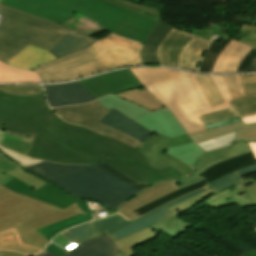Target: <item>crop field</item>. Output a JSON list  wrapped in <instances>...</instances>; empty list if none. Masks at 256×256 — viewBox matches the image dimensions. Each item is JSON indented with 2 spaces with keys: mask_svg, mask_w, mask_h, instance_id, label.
<instances>
[{
  "mask_svg": "<svg viewBox=\"0 0 256 256\" xmlns=\"http://www.w3.org/2000/svg\"><path fill=\"white\" fill-rule=\"evenodd\" d=\"M253 22H256V16L254 17V21Z\"/></svg>",
  "mask_w": 256,
  "mask_h": 256,
  "instance_id": "60",
  "label": "crop field"
},
{
  "mask_svg": "<svg viewBox=\"0 0 256 256\" xmlns=\"http://www.w3.org/2000/svg\"><path fill=\"white\" fill-rule=\"evenodd\" d=\"M237 115L231 108L200 115L199 118L202 121L203 125L210 124L213 122L225 120L228 118L236 117Z\"/></svg>",
  "mask_w": 256,
  "mask_h": 256,
  "instance_id": "44",
  "label": "crop field"
},
{
  "mask_svg": "<svg viewBox=\"0 0 256 256\" xmlns=\"http://www.w3.org/2000/svg\"><path fill=\"white\" fill-rule=\"evenodd\" d=\"M245 189L248 192L253 205L256 206V182L245 186Z\"/></svg>",
  "mask_w": 256,
  "mask_h": 256,
  "instance_id": "50",
  "label": "crop field"
},
{
  "mask_svg": "<svg viewBox=\"0 0 256 256\" xmlns=\"http://www.w3.org/2000/svg\"><path fill=\"white\" fill-rule=\"evenodd\" d=\"M240 41L256 49V23L241 25Z\"/></svg>",
  "mask_w": 256,
  "mask_h": 256,
  "instance_id": "46",
  "label": "crop field"
},
{
  "mask_svg": "<svg viewBox=\"0 0 256 256\" xmlns=\"http://www.w3.org/2000/svg\"><path fill=\"white\" fill-rule=\"evenodd\" d=\"M118 247L111 240L109 235H103L91 239L72 250L65 256H112L116 254ZM35 256H56L46 251Z\"/></svg>",
  "mask_w": 256,
  "mask_h": 256,
  "instance_id": "22",
  "label": "crop field"
},
{
  "mask_svg": "<svg viewBox=\"0 0 256 256\" xmlns=\"http://www.w3.org/2000/svg\"><path fill=\"white\" fill-rule=\"evenodd\" d=\"M46 251L51 252L53 254L59 255V256H64L65 252H63L61 249H59L58 247L54 246L53 244H49V246L47 247Z\"/></svg>",
  "mask_w": 256,
  "mask_h": 256,
  "instance_id": "53",
  "label": "crop field"
},
{
  "mask_svg": "<svg viewBox=\"0 0 256 256\" xmlns=\"http://www.w3.org/2000/svg\"><path fill=\"white\" fill-rule=\"evenodd\" d=\"M256 164L255 157L253 153H247L245 155L237 156L231 159H228L222 163H219L206 171L202 173L203 177H205L207 180H204L198 184L192 185L190 187L184 188L182 190L176 191L160 200H157L141 209H138L134 211L137 215L141 216L189 191L199 189L203 186H205L207 183L218 179L222 176H225L227 174H230L234 172L235 170L241 169L246 166H250Z\"/></svg>",
  "mask_w": 256,
  "mask_h": 256,
  "instance_id": "13",
  "label": "crop field"
},
{
  "mask_svg": "<svg viewBox=\"0 0 256 256\" xmlns=\"http://www.w3.org/2000/svg\"><path fill=\"white\" fill-rule=\"evenodd\" d=\"M194 74L211 106L225 102L224 98L220 95L211 75Z\"/></svg>",
  "mask_w": 256,
  "mask_h": 256,
  "instance_id": "38",
  "label": "crop field"
},
{
  "mask_svg": "<svg viewBox=\"0 0 256 256\" xmlns=\"http://www.w3.org/2000/svg\"><path fill=\"white\" fill-rule=\"evenodd\" d=\"M105 70L88 50L54 60L35 69L43 82L69 81Z\"/></svg>",
  "mask_w": 256,
  "mask_h": 256,
  "instance_id": "10",
  "label": "crop field"
},
{
  "mask_svg": "<svg viewBox=\"0 0 256 256\" xmlns=\"http://www.w3.org/2000/svg\"><path fill=\"white\" fill-rule=\"evenodd\" d=\"M110 112L103 117L100 122L144 143L145 140L152 134L140 124L129 119L125 115L118 112L116 109L109 110ZM99 122V123H100Z\"/></svg>",
  "mask_w": 256,
  "mask_h": 256,
  "instance_id": "23",
  "label": "crop field"
},
{
  "mask_svg": "<svg viewBox=\"0 0 256 256\" xmlns=\"http://www.w3.org/2000/svg\"><path fill=\"white\" fill-rule=\"evenodd\" d=\"M0 250L17 251L25 255L37 254L42 251L22 244L15 228L0 232Z\"/></svg>",
  "mask_w": 256,
  "mask_h": 256,
  "instance_id": "30",
  "label": "crop field"
},
{
  "mask_svg": "<svg viewBox=\"0 0 256 256\" xmlns=\"http://www.w3.org/2000/svg\"><path fill=\"white\" fill-rule=\"evenodd\" d=\"M118 97V96H117Z\"/></svg>",
  "mask_w": 256,
  "mask_h": 256,
  "instance_id": "61",
  "label": "crop field"
},
{
  "mask_svg": "<svg viewBox=\"0 0 256 256\" xmlns=\"http://www.w3.org/2000/svg\"><path fill=\"white\" fill-rule=\"evenodd\" d=\"M0 82H40L35 73L20 71L0 63Z\"/></svg>",
  "mask_w": 256,
  "mask_h": 256,
  "instance_id": "37",
  "label": "crop field"
},
{
  "mask_svg": "<svg viewBox=\"0 0 256 256\" xmlns=\"http://www.w3.org/2000/svg\"><path fill=\"white\" fill-rule=\"evenodd\" d=\"M0 90L17 95H33L44 91L41 86L30 85H0Z\"/></svg>",
  "mask_w": 256,
  "mask_h": 256,
  "instance_id": "43",
  "label": "crop field"
},
{
  "mask_svg": "<svg viewBox=\"0 0 256 256\" xmlns=\"http://www.w3.org/2000/svg\"><path fill=\"white\" fill-rule=\"evenodd\" d=\"M236 130H238V132L232 145L237 143L238 140H242L244 142H256V123L245 125L242 122H239L214 130L191 135L190 137L194 140V142L198 143Z\"/></svg>",
  "mask_w": 256,
  "mask_h": 256,
  "instance_id": "25",
  "label": "crop field"
},
{
  "mask_svg": "<svg viewBox=\"0 0 256 256\" xmlns=\"http://www.w3.org/2000/svg\"><path fill=\"white\" fill-rule=\"evenodd\" d=\"M229 147H224V148L219 149V150H215V151H212V152L205 153L200 158H198V160L195 162V164L192 167L198 169L201 165H203L208 160H213V159L225 157L228 150H229Z\"/></svg>",
  "mask_w": 256,
  "mask_h": 256,
  "instance_id": "48",
  "label": "crop field"
},
{
  "mask_svg": "<svg viewBox=\"0 0 256 256\" xmlns=\"http://www.w3.org/2000/svg\"><path fill=\"white\" fill-rule=\"evenodd\" d=\"M0 128L20 134L36 133L26 156L63 164L104 161L138 183L150 186L167 179L185 178L171 164L159 170L140 151L116 139L62 121L49 110L44 92L16 96L0 91Z\"/></svg>",
  "mask_w": 256,
  "mask_h": 256,
  "instance_id": "1",
  "label": "crop field"
},
{
  "mask_svg": "<svg viewBox=\"0 0 256 256\" xmlns=\"http://www.w3.org/2000/svg\"><path fill=\"white\" fill-rule=\"evenodd\" d=\"M240 176L256 172V165L236 171Z\"/></svg>",
  "mask_w": 256,
  "mask_h": 256,
  "instance_id": "54",
  "label": "crop field"
},
{
  "mask_svg": "<svg viewBox=\"0 0 256 256\" xmlns=\"http://www.w3.org/2000/svg\"><path fill=\"white\" fill-rule=\"evenodd\" d=\"M244 96L228 102L242 118L256 114V74L237 76Z\"/></svg>",
  "mask_w": 256,
  "mask_h": 256,
  "instance_id": "21",
  "label": "crop field"
},
{
  "mask_svg": "<svg viewBox=\"0 0 256 256\" xmlns=\"http://www.w3.org/2000/svg\"><path fill=\"white\" fill-rule=\"evenodd\" d=\"M252 178L247 179L241 183L233 185L234 188L224 190L217 194H214L204 201L201 202L202 205L211 208H223L233 204H238L242 208L251 207V201L248 194L245 192L243 186L254 182Z\"/></svg>",
  "mask_w": 256,
  "mask_h": 256,
  "instance_id": "19",
  "label": "crop field"
},
{
  "mask_svg": "<svg viewBox=\"0 0 256 256\" xmlns=\"http://www.w3.org/2000/svg\"><path fill=\"white\" fill-rule=\"evenodd\" d=\"M187 142H191V140L189 139L187 134H185V135H182L180 137L174 138L172 140V142L170 143L169 147L178 146V145H181V144H184V143H187Z\"/></svg>",
  "mask_w": 256,
  "mask_h": 256,
  "instance_id": "51",
  "label": "crop field"
},
{
  "mask_svg": "<svg viewBox=\"0 0 256 256\" xmlns=\"http://www.w3.org/2000/svg\"><path fill=\"white\" fill-rule=\"evenodd\" d=\"M231 39L224 37L220 43L212 42L208 51L204 55L201 64L199 66L200 71L212 72L219 55L222 53L224 48L228 45Z\"/></svg>",
  "mask_w": 256,
  "mask_h": 256,
  "instance_id": "36",
  "label": "crop field"
},
{
  "mask_svg": "<svg viewBox=\"0 0 256 256\" xmlns=\"http://www.w3.org/2000/svg\"><path fill=\"white\" fill-rule=\"evenodd\" d=\"M224 161L223 159H218V160H214V161H208L206 162L203 166H201V168H199L194 174L190 175L189 178L186 179H177L178 180V184L177 186L182 189L184 187H187L189 185L195 184L197 182L202 181L204 178L202 177V175H200L204 170H206L207 168H209L212 165H215L219 162Z\"/></svg>",
  "mask_w": 256,
  "mask_h": 256,
  "instance_id": "42",
  "label": "crop field"
},
{
  "mask_svg": "<svg viewBox=\"0 0 256 256\" xmlns=\"http://www.w3.org/2000/svg\"><path fill=\"white\" fill-rule=\"evenodd\" d=\"M211 194H213L212 191H210V190L206 191L192 199H189L185 202H182V203L176 205L173 208H170V210L172 212H174L176 215H174V216H172L154 226H151V227L159 232L162 231L165 234H167L168 236L176 239L178 236L183 234V232L184 233L187 232V227L191 228V226H192L191 224L182 221L179 217H177V215L180 214L181 212L191 208L192 206L196 205L197 203H199L206 197L210 196Z\"/></svg>",
  "mask_w": 256,
  "mask_h": 256,
  "instance_id": "18",
  "label": "crop field"
},
{
  "mask_svg": "<svg viewBox=\"0 0 256 256\" xmlns=\"http://www.w3.org/2000/svg\"><path fill=\"white\" fill-rule=\"evenodd\" d=\"M192 37L193 35L173 29L158 50L161 64L179 67L181 52Z\"/></svg>",
  "mask_w": 256,
  "mask_h": 256,
  "instance_id": "20",
  "label": "crop field"
},
{
  "mask_svg": "<svg viewBox=\"0 0 256 256\" xmlns=\"http://www.w3.org/2000/svg\"><path fill=\"white\" fill-rule=\"evenodd\" d=\"M96 99L128 89L143 87L130 69L114 71L79 82Z\"/></svg>",
  "mask_w": 256,
  "mask_h": 256,
  "instance_id": "14",
  "label": "crop field"
},
{
  "mask_svg": "<svg viewBox=\"0 0 256 256\" xmlns=\"http://www.w3.org/2000/svg\"><path fill=\"white\" fill-rule=\"evenodd\" d=\"M53 59L56 58L49 52L29 46L5 64L21 70L33 71L36 65Z\"/></svg>",
  "mask_w": 256,
  "mask_h": 256,
  "instance_id": "28",
  "label": "crop field"
},
{
  "mask_svg": "<svg viewBox=\"0 0 256 256\" xmlns=\"http://www.w3.org/2000/svg\"><path fill=\"white\" fill-rule=\"evenodd\" d=\"M0 256H23V255L12 253V252H0Z\"/></svg>",
  "mask_w": 256,
  "mask_h": 256,
  "instance_id": "56",
  "label": "crop field"
},
{
  "mask_svg": "<svg viewBox=\"0 0 256 256\" xmlns=\"http://www.w3.org/2000/svg\"><path fill=\"white\" fill-rule=\"evenodd\" d=\"M52 110L67 122L84 125L95 131L127 142L137 148L142 145V143L137 142L102 123H99L98 121L109 111L97 101L80 106H63L53 108Z\"/></svg>",
  "mask_w": 256,
  "mask_h": 256,
  "instance_id": "12",
  "label": "crop field"
},
{
  "mask_svg": "<svg viewBox=\"0 0 256 256\" xmlns=\"http://www.w3.org/2000/svg\"><path fill=\"white\" fill-rule=\"evenodd\" d=\"M141 44L108 33L87 49L107 70L139 65Z\"/></svg>",
  "mask_w": 256,
  "mask_h": 256,
  "instance_id": "11",
  "label": "crop field"
},
{
  "mask_svg": "<svg viewBox=\"0 0 256 256\" xmlns=\"http://www.w3.org/2000/svg\"><path fill=\"white\" fill-rule=\"evenodd\" d=\"M63 236L67 237L76 244H81L82 242L94 238V232L92 230L91 222H88L84 225L70 228L62 233Z\"/></svg>",
  "mask_w": 256,
  "mask_h": 256,
  "instance_id": "39",
  "label": "crop field"
},
{
  "mask_svg": "<svg viewBox=\"0 0 256 256\" xmlns=\"http://www.w3.org/2000/svg\"><path fill=\"white\" fill-rule=\"evenodd\" d=\"M247 71H256V50L253 48L246 54L236 70V72Z\"/></svg>",
  "mask_w": 256,
  "mask_h": 256,
  "instance_id": "47",
  "label": "crop field"
},
{
  "mask_svg": "<svg viewBox=\"0 0 256 256\" xmlns=\"http://www.w3.org/2000/svg\"><path fill=\"white\" fill-rule=\"evenodd\" d=\"M96 40L81 33L70 30L49 51L57 58L85 50Z\"/></svg>",
  "mask_w": 256,
  "mask_h": 256,
  "instance_id": "26",
  "label": "crop field"
},
{
  "mask_svg": "<svg viewBox=\"0 0 256 256\" xmlns=\"http://www.w3.org/2000/svg\"><path fill=\"white\" fill-rule=\"evenodd\" d=\"M158 233L159 232L148 227L136 234L120 239L115 243L119 247V249L126 254V256H134L135 255L133 251L134 247L156 239L158 236Z\"/></svg>",
  "mask_w": 256,
  "mask_h": 256,
  "instance_id": "32",
  "label": "crop field"
},
{
  "mask_svg": "<svg viewBox=\"0 0 256 256\" xmlns=\"http://www.w3.org/2000/svg\"><path fill=\"white\" fill-rule=\"evenodd\" d=\"M117 95L126 100L133 101L148 110H157V109L166 108L147 90L141 91V92H139L138 90L126 91Z\"/></svg>",
  "mask_w": 256,
  "mask_h": 256,
  "instance_id": "34",
  "label": "crop field"
},
{
  "mask_svg": "<svg viewBox=\"0 0 256 256\" xmlns=\"http://www.w3.org/2000/svg\"><path fill=\"white\" fill-rule=\"evenodd\" d=\"M167 153L171 154L180 161L192 166L197 160L196 158L204 154L193 142L178 147L168 148Z\"/></svg>",
  "mask_w": 256,
  "mask_h": 256,
  "instance_id": "35",
  "label": "crop field"
},
{
  "mask_svg": "<svg viewBox=\"0 0 256 256\" xmlns=\"http://www.w3.org/2000/svg\"><path fill=\"white\" fill-rule=\"evenodd\" d=\"M250 151H251V149H250L248 143H243V142L239 141L237 144H235L234 146H232L230 148L227 156L225 157V160L230 157L245 154Z\"/></svg>",
  "mask_w": 256,
  "mask_h": 256,
  "instance_id": "49",
  "label": "crop field"
},
{
  "mask_svg": "<svg viewBox=\"0 0 256 256\" xmlns=\"http://www.w3.org/2000/svg\"><path fill=\"white\" fill-rule=\"evenodd\" d=\"M125 254L123 253V252H118L116 255H114V256H124Z\"/></svg>",
  "mask_w": 256,
  "mask_h": 256,
  "instance_id": "59",
  "label": "crop field"
},
{
  "mask_svg": "<svg viewBox=\"0 0 256 256\" xmlns=\"http://www.w3.org/2000/svg\"><path fill=\"white\" fill-rule=\"evenodd\" d=\"M99 101L109 109L116 108L154 133L139 148L152 166L161 169L171 163L187 176L196 170L165 153L172 138L185 134L183 128L169 111L149 113L114 96H105Z\"/></svg>",
  "mask_w": 256,
  "mask_h": 256,
  "instance_id": "4",
  "label": "crop field"
},
{
  "mask_svg": "<svg viewBox=\"0 0 256 256\" xmlns=\"http://www.w3.org/2000/svg\"><path fill=\"white\" fill-rule=\"evenodd\" d=\"M113 4L125 7L127 9H130L134 12H137L145 17L157 20L159 19V10L158 9H154V8H150V7H146V6H142V5H137V4H133L130 2H126V1H120V0H107Z\"/></svg>",
  "mask_w": 256,
  "mask_h": 256,
  "instance_id": "40",
  "label": "crop field"
},
{
  "mask_svg": "<svg viewBox=\"0 0 256 256\" xmlns=\"http://www.w3.org/2000/svg\"><path fill=\"white\" fill-rule=\"evenodd\" d=\"M206 190H208V188L189 193L133 221H128L119 214L104 218L102 220L93 221L92 223L95 228L96 236H100L108 232L114 241L129 236L139 230L174 215L168 208L173 207L176 204L194 197Z\"/></svg>",
  "mask_w": 256,
  "mask_h": 256,
  "instance_id": "9",
  "label": "crop field"
},
{
  "mask_svg": "<svg viewBox=\"0 0 256 256\" xmlns=\"http://www.w3.org/2000/svg\"><path fill=\"white\" fill-rule=\"evenodd\" d=\"M92 220V214L90 213L88 216L79 214L77 216L71 217L69 219L63 220L61 222L43 227L38 229V231L48 240L50 241L57 233L66 230L72 226H76L82 224L86 221Z\"/></svg>",
  "mask_w": 256,
  "mask_h": 256,
  "instance_id": "33",
  "label": "crop field"
},
{
  "mask_svg": "<svg viewBox=\"0 0 256 256\" xmlns=\"http://www.w3.org/2000/svg\"><path fill=\"white\" fill-rule=\"evenodd\" d=\"M34 135H20L0 129V145L25 155L31 147Z\"/></svg>",
  "mask_w": 256,
  "mask_h": 256,
  "instance_id": "31",
  "label": "crop field"
},
{
  "mask_svg": "<svg viewBox=\"0 0 256 256\" xmlns=\"http://www.w3.org/2000/svg\"><path fill=\"white\" fill-rule=\"evenodd\" d=\"M252 47L232 40L221 54L213 72H235L238 64Z\"/></svg>",
  "mask_w": 256,
  "mask_h": 256,
  "instance_id": "27",
  "label": "crop field"
},
{
  "mask_svg": "<svg viewBox=\"0 0 256 256\" xmlns=\"http://www.w3.org/2000/svg\"><path fill=\"white\" fill-rule=\"evenodd\" d=\"M50 107L83 104L96 100L78 82L64 85L44 86Z\"/></svg>",
  "mask_w": 256,
  "mask_h": 256,
  "instance_id": "15",
  "label": "crop field"
},
{
  "mask_svg": "<svg viewBox=\"0 0 256 256\" xmlns=\"http://www.w3.org/2000/svg\"><path fill=\"white\" fill-rule=\"evenodd\" d=\"M256 231V230H255Z\"/></svg>",
  "mask_w": 256,
  "mask_h": 256,
  "instance_id": "62",
  "label": "crop field"
},
{
  "mask_svg": "<svg viewBox=\"0 0 256 256\" xmlns=\"http://www.w3.org/2000/svg\"><path fill=\"white\" fill-rule=\"evenodd\" d=\"M0 60L4 63L31 45L49 50L70 29L0 4Z\"/></svg>",
  "mask_w": 256,
  "mask_h": 256,
  "instance_id": "5",
  "label": "crop field"
},
{
  "mask_svg": "<svg viewBox=\"0 0 256 256\" xmlns=\"http://www.w3.org/2000/svg\"><path fill=\"white\" fill-rule=\"evenodd\" d=\"M176 183V180H168L154 184L148 187L138 196L133 197L126 204L116 210H118L123 216L127 217L128 219L137 218L139 216H137L132 211L144 205H147L173 191L179 190V188L176 186Z\"/></svg>",
  "mask_w": 256,
  "mask_h": 256,
  "instance_id": "16",
  "label": "crop field"
},
{
  "mask_svg": "<svg viewBox=\"0 0 256 256\" xmlns=\"http://www.w3.org/2000/svg\"><path fill=\"white\" fill-rule=\"evenodd\" d=\"M79 213L77 203L62 210L14 193L0 201V231L16 227L23 243L44 249L49 242L36 229Z\"/></svg>",
  "mask_w": 256,
  "mask_h": 256,
  "instance_id": "6",
  "label": "crop field"
},
{
  "mask_svg": "<svg viewBox=\"0 0 256 256\" xmlns=\"http://www.w3.org/2000/svg\"><path fill=\"white\" fill-rule=\"evenodd\" d=\"M0 184L4 187L59 208H66L77 202L86 213L91 210L86 200H76L48 182L24 172L19 165L0 152Z\"/></svg>",
  "mask_w": 256,
  "mask_h": 256,
  "instance_id": "8",
  "label": "crop field"
},
{
  "mask_svg": "<svg viewBox=\"0 0 256 256\" xmlns=\"http://www.w3.org/2000/svg\"><path fill=\"white\" fill-rule=\"evenodd\" d=\"M213 77H214L215 81L217 82V84H218V86H219V88H220V90H221V92H222V94H223L225 100H226L227 102L230 101V99H229V97H228V94H227V92H226V90H225V87H224V85H223V82H222L221 77H220V76H213Z\"/></svg>",
  "mask_w": 256,
  "mask_h": 256,
  "instance_id": "52",
  "label": "crop field"
},
{
  "mask_svg": "<svg viewBox=\"0 0 256 256\" xmlns=\"http://www.w3.org/2000/svg\"><path fill=\"white\" fill-rule=\"evenodd\" d=\"M172 29V26L159 19L143 44L141 50V65H161L157 57V50Z\"/></svg>",
  "mask_w": 256,
  "mask_h": 256,
  "instance_id": "24",
  "label": "crop field"
},
{
  "mask_svg": "<svg viewBox=\"0 0 256 256\" xmlns=\"http://www.w3.org/2000/svg\"><path fill=\"white\" fill-rule=\"evenodd\" d=\"M249 145H250V147H251V149H252V151H253V153L256 157V143H249Z\"/></svg>",
  "mask_w": 256,
  "mask_h": 256,
  "instance_id": "58",
  "label": "crop field"
},
{
  "mask_svg": "<svg viewBox=\"0 0 256 256\" xmlns=\"http://www.w3.org/2000/svg\"><path fill=\"white\" fill-rule=\"evenodd\" d=\"M21 168L47 180L76 199L93 200L109 210L122 206L148 187L144 183H135L104 162L83 166L43 161Z\"/></svg>",
  "mask_w": 256,
  "mask_h": 256,
  "instance_id": "2",
  "label": "crop field"
},
{
  "mask_svg": "<svg viewBox=\"0 0 256 256\" xmlns=\"http://www.w3.org/2000/svg\"><path fill=\"white\" fill-rule=\"evenodd\" d=\"M0 3L53 20L57 23H62L76 16L69 11L57 8L42 0H0Z\"/></svg>",
  "mask_w": 256,
  "mask_h": 256,
  "instance_id": "17",
  "label": "crop field"
},
{
  "mask_svg": "<svg viewBox=\"0 0 256 256\" xmlns=\"http://www.w3.org/2000/svg\"><path fill=\"white\" fill-rule=\"evenodd\" d=\"M242 120H243L245 123L254 122V121H256V115L250 116V117H246V118H242Z\"/></svg>",
  "mask_w": 256,
  "mask_h": 256,
  "instance_id": "57",
  "label": "crop field"
},
{
  "mask_svg": "<svg viewBox=\"0 0 256 256\" xmlns=\"http://www.w3.org/2000/svg\"><path fill=\"white\" fill-rule=\"evenodd\" d=\"M236 132L199 143L198 145L206 152L231 145Z\"/></svg>",
  "mask_w": 256,
  "mask_h": 256,
  "instance_id": "41",
  "label": "crop field"
},
{
  "mask_svg": "<svg viewBox=\"0 0 256 256\" xmlns=\"http://www.w3.org/2000/svg\"><path fill=\"white\" fill-rule=\"evenodd\" d=\"M241 178L239 175L235 172L230 175H227L221 179L215 180L212 183L207 184L209 188H211L213 191L217 192L219 190H222L226 187H229L235 183L241 182Z\"/></svg>",
  "mask_w": 256,
  "mask_h": 256,
  "instance_id": "45",
  "label": "crop field"
},
{
  "mask_svg": "<svg viewBox=\"0 0 256 256\" xmlns=\"http://www.w3.org/2000/svg\"><path fill=\"white\" fill-rule=\"evenodd\" d=\"M12 193H14V192H12L0 185V200Z\"/></svg>",
  "mask_w": 256,
  "mask_h": 256,
  "instance_id": "55",
  "label": "crop field"
},
{
  "mask_svg": "<svg viewBox=\"0 0 256 256\" xmlns=\"http://www.w3.org/2000/svg\"><path fill=\"white\" fill-rule=\"evenodd\" d=\"M210 42L194 36L191 42L183 50L180 62V68L197 70L206 47Z\"/></svg>",
  "mask_w": 256,
  "mask_h": 256,
  "instance_id": "29",
  "label": "crop field"
},
{
  "mask_svg": "<svg viewBox=\"0 0 256 256\" xmlns=\"http://www.w3.org/2000/svg\"><path fill=\"white\" fill-rule=\"evenodd\" d=\"M146 89L177 117L188 135L207 130L197 115L228 108L210 107L194 74L168 69H131Z\"/></svg>",
  "mask_w": 256,
  "mask_h": 256,
  "instance_id": "3",
  "label": "crop field"
},
{
  "mask_svg": "<svg viewBox=\"0 0 256 256\" xmlns=\"http://www.w3.org/2000/svg\"><path fill=\"white\" fill-rule=\"evenodd\" d=\"M55 6L88 16L118 35L145 41L156 21L104 0H45Z\"/></svg>",
  "mask_w": 256,
  "mask_h": 256,
  "instance_id": "7",
  "label": "crop field"
}]
</instances>
